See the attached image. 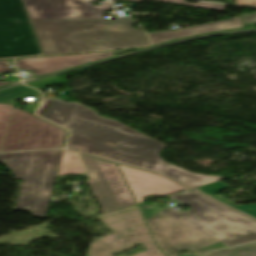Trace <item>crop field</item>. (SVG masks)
I'll use <instances>...</instances> for the list:
<instances>
[{"label":"crop field","instance_id":"crop-field-1","mask_svg":"<svg viewBox=\"0 0 256 256\" xmlns=\"http://www.w3.org/2000/svg\"><path fill=\"white\" fill-rule=\"evenodd\" d=\"M76 103L44 99L36 114L71 130L68 148L146 168L192 188L223 177L198 175L164 163L157 155L165 146L153 139L126 134L120 129L71 116Z\"/></svg>","mask_w":256,"mask_h":256},{"label":"crop field","instance_id":"crop-field-2","mask_svg":"<svg viewBox=\"0 0 256 256\" xmlns=\"http://www.w3.org/2000/svg\"><path fill=\"white\" fill-rule=\"evenodd\" d=\"M43 55L148 46L134 20H30Z\"/></svg>","mask_w":256,"mask_h":256},{"label":"crop field","instance_id":"crop-field-3","mask_svg":"<svg viewBox=\"0 0 256 256\" xmlns=\"http://www.w3.org/2000/svg\"><path fill=\"white\" fill-rule=\"evenodd\" d=\"M171 198L190 208L182 214L170 208L161 213L221 241L225 246L233 247L256 241V221L196 192Z\"/></svg>","mask_w":256,"mask_h":256},{"label":"crop field","instance_id":"crop-field-4","mask_svg":"<svg viewBox=\"0 0 256 256\" xmlns=\"http://www.w3.org/2000/svg\"><path fill=\"white\" fill-rule=\"evenodd\" d=\"M62 150L0 154V162L9 166L18 179H24L17 208L45 216L50 196L43 190L52 189Z\"/></svg>","mask_w":256,"mask_h":256},{"label":"crop field","instance_id":"crop-field-5","mask_svg":"<svg viewBox=\"0 0 256 256\" xmlns=\"http://www.w3.org/2000/svg\"><path fill=\"white\" fill-rule=\"evenodd\" d=\"M115 233L93 241L87 256H111L143 243L145 252L136 256H166L152 239L138 205L96 216Z\"/></svg>","mask_w":256,"mask_h":256},{"label":"crop field","instance_id":"crop-field-6","mask_svg":"<svg viewBox=\"0 0 256 256\" xmlns=\"http://www.w3.org/2000/svg\"><path fill=\"white\" fill-rule=\"evenodd\" d=\"M42 55L23 0H0V58Z\"/></svg>","mask_w":256,"mask_h":256},{"label":"crop field","instance_id":"crop-field-7","mask_svg":"<svg viewBox=\"0 0 256 256\" xmlns=\"http://www.w3.org/2000/svg\"><path fill=\"white\" fill-rule=\"evenodd\" d=\"M67 131L14 108L1 151L63 147Z\"/></svg>","mask_w":256,"mask_h":256},{"label":"crop field","instance_id":"crop-field-8","mask_svg":"<svg viewBox=\"0 0 256 256\" xmlns=\"http://www.w3.org/2000/svg\"><path fill=\"white\" fill-rule=\"evenodd\" d=\"M89 172V183L104 212L136 205L117 165L101 159L79 154Z\"/></svg>","mask_w":256,"mask_h":256},{"label":"crop field","instance_id":"crop-field-9","mask_svg":"<svg viewBox=\"0 0 256 256\" xmlns=\"http://www.w3.org/2000/svg\"><path fill=\"white\" fill-rule=\"evenodd\" d=\"M147 222L157 244L168 256H177L179 249L194 251L219 242L161 213Z\"/></svg>","mask_w":256,"mask_h":256},{"label":"crop field","instance_id":"crop-field-10","mask_svg":"<svg viewBox=\"0 0 256 256\" xmlns=\"http://www.w3.org/2000/svg\"><path fill=\"white\" fill-rule=\"evenodd\" d=\"M94 0H24L30 19H104L102 10L112 5L95 6Z\"/></svg>","mask_w":256,"mask_h":256},{"label":"crop field","instance_id":"crop-field-11","mask_svg":"<svg viewBox=\"0 0 256 256\" xmlns=\"http://www.w3.org/2000/svg\"><path fill=\"white\" fill-rule=\"evenodd\" d=\"M118 166L138 204L142 203V198L148 195L167 196L187 189L158 175Z\"/></svg>","mask_w":256,"mask_h":256},{"label":"crop field","instance_id":"crop-field-12","mask_svg":"<svg viewBox=\"0 0 256 256\" xmlns=\"http://www.w3.org/2000/svg\"><path fill=\"white\" fill-rule=\"evenodd\" d=\"M113 51L16 60L18 69L44 76L76 66L113 57Z\"/></svg>","mask_w":256,"mask_h":256},{"label":"crop field","instance_id":"crop-field-13","mask_svg":"<svg viewBox=\"0 0 256 256\" xmlns=\"http://www.w3.org/2000/svg\"><path fill=\"white\" fill-rule=\"evenodd\" d=\"M241 18H235L227 21L192 27L188 29L178 30V31H168V32H160V33H152L149 34L151 37L154 45L175 40L178 38L199 34V33H205V32H211V31H218V30H225V29H231V28H238L242 27Z\"/></svg>","mask_w":256,"mask_h":256},{"label":"crop field","instance_id":"crop-field-14","mask_svg":"<svg viewBox=\"0 0 256 256\" xmlns=\"http://www.w3.org/2000/svg\"><path fill=\"white\" fill-rule=\"evenodd\" d=\"M74 116H78V117H82V118H86V119H89V120H92V121H96V122H99V123H103V124H106V125H110V126H113V127H117V128H120L122 129L124 132H127V133H131V134H135V135H139V136H144L116 121H113V120H109V119H106V118H103L101 116H99L97 113H95L94 111H92L91 109L83 106V105H80L78 104L77 108L75 109L74 113H73ZM146 137V136H144Z\"/></svg>","mask_w":256,"mask_h":256},{"label":"crop field","instance_id":"crop-field-15","mask_svg":"<svg viewBox=\"0 0 256 256\" xmlns=\"http://www.w3.org/2000/svg\"><path fill=\"white\" fill-rule=\"evenodd\" d=\"M85 172L77 153L70 151L63 152L57 176Z\"/></svg>","mask_w":256,"mask_h":256},{"label":"crop field","instance_id":"crop-field-16","mask_svg":"<svg viewBox=\"0 0 256 256\" xmlns=\"http://www.w3.org/2000/svg\"><path fill=\"white\" fill-rule=\"evenodd\" d=\"M227 187H229V186H227L221 182H217V183H213V184L202 186V187L195 188V189H197V190H199V191H201V192H203V193H205V194H207V195H209V196H211V197H213V198H215V199H217V200H219V201H221V202H223V203H225V204H227V205H229V206H231V207H233V208H235L253 218H256V205L234 206V205H231V204L213 196L214 194L218 193L219 191H221Z\"/></svg>","mask_w":256,"mask_h":256},{"label":"crop field","instance_id":"crop-field-17","mask_svg":"<svg viewBox=\"0 0 256 256\" xmlns=\"http://www.w3.org/2000/svg\"><path fill=\"white\" fill-rule=\"evenodd\" d=\"M24 96H34L35 99H38V101L41 100V95L39 94V92L30 88L21 86L18 88L0 92V103H4L6 101H10V100L17 99Z\"/></svg>","mask_w":256,"mask_h":256},{"label":"crop field","instance_id":"crop-field-18","mask_svg":"<svg viewBox=\"0 0 256 256\" xmlns=\"http://www.w3.org/2000/svg\"><path fill=\"white\" fill-rule=\"evenodd\" d=\"M13 108L14 106L10 104H0V150Z\"/></svg>","mask_w":256,"mask_h":256},{"label":"crop field","instance_id":"crop-field-19","mask_svg":"<svg viewBox=\"0 0 256 256\" xmlns=\"http://www.w3.org/2000/svg\"><path fill=\"white\" fill-rule=\"evenodd\" d=\"M130 1L138 2V1H140V0H130ZM154 1H162V2H169V3H177V4H183V5H189V6H196V7H203V8L218 9V10H222V9L225 7V6H223V5L210 4V3H204V2H200V3H198V4L188 3V2H184V0H154Z\"/></svg>","mask_w":256,"mask_h":256},{"label":"crop field","instance_id":"crop-field-20","mask_svg":"<svg viewBox=\"0 0 256 256\" xmlns=\"http://www.w3.org/2000/svg\"><path fill=\"white\" fill-rule=\"evenodd\" d=\"M58 83H62V81L58 77H55V78L39 81L33 84H29V86L39 89V88L47 87V86L58 84Z\"/></svg>","mask_w":256,"mask_h":256},{"label":"crop field","instance_id":"crop-field-21","mask_svg":"<svg viewBox=\"0 0 256 256\" xmlns=\"http://www.w3.org/2000/svg\"><path fill=\"white\" fill-rule=\"evenodd\" d=\"M15 71L14 69L7 66L5 61H0V73ZM13 81L0 82V86L12 84Z\"/></svg>","mask_w":256,"mask_h":256},{"label":"crop field","instance_id":"crop-field-22","mask_svg":"<svg viewBox=\"0 0 256 256\" xmlns=\"http://www.w3.org/2000/svg\"><path fill=\"white\" fill-rule=\"evenodd\" d=\"M236 4L242 6L256 7V0H236Z\"/></svg>","mask_w":256,"mask_h":256},{"label":"crop field","instance_id":"crop-field-23","mask_svg":"<svg viewBox=\"0 0 256 256\" xmlns=\"http://www.w3.org/2000/svg\"><path fill=\"white\" fill-rule=\"evenodd\" d=\"M245 23L256 22V14L244 17Z\"/></svg>","mask_w":256,"mask_h":256},{"label":"crop field","instance_id":"crop-field-24","mask_svg":"<svg viewBox=\"0 0 256 256\" xmlns=\"http://www.w3.org/2000/svg\"><path fill=\"white\" fill-rule=\"evenodd\" d=\"M187 256H193L192 254H190V255H187Z\"/></svg>","mask_w":256,"mask_h":256}]
</instances>
